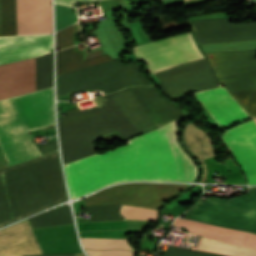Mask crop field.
I'll use <instances>...</instances> for the list:
<instances>
[{
    "instance_id": "8a807250",
    "label": "crop field",
    "mask_w": 256,
    "mask_h": 256,
    "mask_svg": "<svg viewBox=\"0 0 256 256\" xmlns=\"http://www.w3.org/2000/svg\"><path fill=\"white\" fill-rule=\"evenodd\" d=\"M71 199L126 181L193 182L196 167L176 143L175 120L110 151L65 165Z\"/></svg>"
},
{
    "instance_id": "ac0d7876",
    "label": "crop field",
    "mask_w": 256,
    "mask_h": 256,
    "mask_svg": "<svg viewBox=\"0 0 256 256\" xmlns=\"http://www.w3.org/2000/svg\"><path fill=\"white\" fill-rule=\"evenodd\" d=\"M157 126L183 116L173 104L163 100L152 87L129 88ZM129 89L110 94L139 132L155 126ZM110 95L92 98L97 108L66 112L58 119L61 152L64 163L95 154L92 140L112 131L124 139L138 133Z\"/></svg>"
},
{
    "instance_id": "34b2d1b8",
    "label": "crop field",
    "mask_w": 256,
    "mask_h": 256,
    "mask_svg": "<svg viewBox=\"0 0 256 256\" xmlns=\"http://www.w3.org/2000/svg\"><path fill=\"white\" fill-rule=\"evenodd\" d=\"M66 199L58 152L0 171V227Z\"/></svg>"
},
{
    "instance_id": "412701ff",
    "label": "crop field",
    "mask_w": 256,
    "mask_h": 256,
    "mask_svg": "<svg viewBox=\"0 0 256 256\" xmlns=\"http://www.w3.org/2000/svg\"><path fill=\"white\" fill-rule=\"evenodd\" d=\"M133 49L138 58L148 63L153 74L187 61L203 58L190 32L133 47ZM154 75L161 81L158 84L161 89L171 97L221 86L205 58L184 63Z\"/></svg>"
},
{
    "instance_id": "f4fd0767",
    "label": "crop field",
    "mask_w": 256,
    "mask_h": 256,
    "mask_svg": "<svg viewBox=\"0 0 256 256\" xmlns=\"http://www.w3.org/2000/svg\"><path fill=\"white\" fill-rule=\"evenodd\" d=\"M53 124L52 88L1 100L0 143L10 164L40 156L28 131ZM1 145L0 168H3L10 164Z\"/></svg>"
},
{
    "instance_id": "dd49c442",
    "label": "crop field",
    "mask_w": 256,
    "mask_h": 256,
    "mask_svg": "<svg viewBox=\"0 0 256 256\" xmlns=\"http://www.w3.org/2000/svg\"><path fill=\"white\" fill-rule=\"evenodd\" d=\"M52 51V35L0 38V64ZM52 86V53L36 57V90ZM35 90V57L1 65V99Z\"/></svg>"
},
{
    "instance_id": "e52e79f7",
    "label": "crop field",
    "mask_w": 256,
    "mask_h": 256,
    "mask_svg": "<svg viewBox=\"0 0 256 256\" xmlns=\"http://www.w3.org/2000/svg\"><path fill=\"white\" fill-rule=\"evenodd\" d=\"M137 64L124 66L119 58L82 70L57 76V97L77 91L105 94L133 85H151L138 72Z\"/></svg>"
},
{
    "instance_id": "d8731c3e",
    "label": "crop field",
    "mask_w": 256,
    "mask_h": 256,
    "mask_svg": "<svg viewBox=\"0 0 256 256\" xmlns=\"http://www.w3.org/2000/svg\"><path fill=\"white\" fill-rule=\"evenodd\" d=\"M216 78L256 117V50L205 54Z\"/></svg>"
},
{
    "instance_id": "5a996713",
    "label": "crop field",
    "mask_w": 256,
    "mask_h": 256,
    "mask_svg": "<svg viewBox=\"0 0 256 256\" xmlns=\"http://www.w3.org/2000/svg\"><path fill=\"white\" fill-rule=\"evenodd\" d=\"M186 219L256 233V187L231 200L199 201L189 210Z\"/></svg>"
},
{
    "instance_id": "3316defc",
    "label": "crop field",
    "mask_w": 256,
    "mask_h": 256,
    "mask_svg": "<svg viewBox=\"0 0 256 256\" xmlns=\"http://www.w3.org/2000/svg\"><path fill=\"white\" fill-rule=\"evenodd\" d=\"M16 35L52 33L51 0H15ZM14 0H0V36L15 35Z\"/></svg>"
},
{
    "instance_id": "28ad6ade",
    "label": "crop field",
    "mask_w": 256,
    "mask_h": 256,
    "mask_svg": "<svg viewBox=\"0 0 256 256\" xmlns=\"http://www.w3.org/2000/svg\"><path fill=\"white\" fill-rule=\"evenodd\" d=\"M175 222L173 225L183 227L187 232L256 249V234L185 219L177 218ZM195 250L227 256H256V250L205 237L200 238Z\"/></svg>"
},
{
    "instance_id": "d1516ede",
    "label": "crop field",
    "mask_w": 256,
    "mask_h": 256,
    "mask_svg": "<svg viewBox=\"0 0 256 256\" xmlns=\"http://www.w3.org/2000/svg\"><path fill=\"white\" fill-rule=\"evenodd\" d=\"M188 185L125 184L113 186L86 199L84 205L126 204L156 209L163 201Z\"/></svg>"
},
{
    "instance_id": "22f410ed",
    "label": "crop field",
    "mask_w": 256,
    "mask_h": 256,
    "mask_svg": "<svg viewBox=\"0 0 256 256\" xmlns=\"http://www.w3.org/2000/svg\"><path fill=\"white\" fill-rule=\"evenodd\" d=\"M223 142L240 165L249 184H256V124L253 120L237 125L222 136Z\"/></svg>"
},
{
    "instance_id": "cbeb9de0",
    "label": "crop field",
    "mask_w": 256,
    "mask_h": 256,
    "mask_svg": "<svg viewBox=\"0 0 256 256\" xmlns=\"http://www.w3.org/2000/svg\"><path fill=\"white\" fill-rule=\"evenodd\" d=\"M195 95L222 129L252 119L224 87Z\"/></svg>"
},
{
    "instance_id": "5142ce71",
    "label": "crop field",
    "mask_w": 256,
    "mask_h": 256,
    "mask_svg": "<svg viewBox=\"0 0 256 256\" xmlns=\"http://www.w3.org/2000/svg\"><path fill=\"white\" fill-rule=\"evenodd\" d=\"M44 254L27 219L0 230V256Z\"/></svg>"
},
{
    "instance_id": "d9b57169",
    "label": "crop field",
    "mask_w": 256,
    "mask_h": 256,
    "mask_svg": "<svg viewBox=\"0 0 256 256\" xmlns=\"http://www.w3.org/2000/svg\"><path fill=\"white\" fill-rule=\"evenodd\" d=\"M183 143L201 161L205 178L206 166L203 159L215 155L209 136L190 122L184 127ZM204 178H202V182H204Z\"/></svg>"
},
{
    "instance_id": "733c2abd",
    "label": "crop field",
    "mask_w": 256,
    "mask_h": 256,
    "mask_svg": "<svg viewBox=\"0 0 256 256\" xmlns=\"http://www.w3.org/2000/svg\"><path fill=\"white\" fill-rule=\"evenodd\" d=\"M74 49L75 46L56 52V76L112 59L105 55L82 61L83 53H74Z\"/></svg>"
},
{
    "instance_id": "4a817a6b",
    "label": "crop field",
    "mask_w": 256,
    "mask_h": 256,
    "mask_svg": "<svg viewBox=\"0 0 256 256\" xmlns=\"http://www.w3.org/2000/svg\"><path fill=\"white\" fill-rule=\"evenodd\" d=\"M32 229L73 223L70 208L63 205L28 218Z\"/></svg>"
},
{
    "instance_id": "bc2a9ffb",
    "label": "crop field",
    "mask_w": 256,
    "mask_h": 256,
    "mask_svg": "<svg viewBox=\"0 0 256 256\" xmlns=\"http://www.w3.org/2000/svg\"><path fill=\"white\" fill-rule=\"evenodd\" d=\"M121 205L85 206V212L91 213V222L127 220L119 212Z\"/></svg>"
},
{
    "instance_id": "214f88e0",
    "label": "crop field",
    "mask_w": 256,
    "mask_h": 256,
    "mask_svg": "<svg viewBox=\"0 0 256 256\" xmlns=\"http://www.w3.org/2000/svg\"><path fill=\"white\" fill-rule=\"evenodd\" d=\"M84 248L111 249L131 247L126 243V239H103V238H80ZM132 250V249H131Z\"/></svg>"
},
{
    "instance_id": "92a150f3",
    "label": "crop field",
    "mask_w": 256,
    "mask_h": 256,
    "mask_svg": "<svg viewBox=\"0 0 256 256\" xmlns=\"http://www.w3.org/2000/svg\"><path fill=\"white\" fill-rule=\"evenodd\" d=\"M121 213L127 219L155 220L158 211L145 208H136L123 205Z\"/></svg>"
},
{
    "instance_id": "dafd665d",
    "label": "crop field",
    "mask_w": 256,
    "mask_h": 256,
    "mask_svg": "<svg viewBox=\"0 0 256 256\" xmlns=\"http://www.w3.org/2000/svg\"><path fill=\"white\" fill-rule=\"evenodd\" d=\"M56 31L75 23L69 7L55 4Z\"/></svg>"
},
{
    "instance_id": "00972430",
    "label": "crop field",
    "mask_w": 256,
    "mask_h": 256,
    "mask_svg": "<svg viewBox=\"0 0 256 256\" xmlns=\"http://www.w3.org/2000/svg\"><path fill=\"white\" fill-rule=\"evenodd\" d=\"M73 45L72 26L56 33V50Z\"/></svg>"
},
{
    "instance_id": "a9b5d70f",
    "label": "crop field",
    "mask_w": 256,
    "mask_h": 256,
    "mask_svg": "<svg viewBox=\"0 0 256 256\" xmlns=\"http://www.w3.org/2000/svg\"><path fill=\"white\" fill-rule=\"evenodd\" d=\"M165 256H222V255L191 251V250L169 246Z\"/></svg>"
},
{
    "instance_id": "4177f3b9",
    "label": "crop field",
    "mask_w": 256,
    "mask_h": 256,
    "mask_svg": "<svg viewBox=\"0 0 256 256\" xmlns=\"http://www.w3.org/2000/svg\"><path fill=\"white\" fill-rule=\"evenodd\" d=\"M89 256H133L134 252L126 250H85Z\"/></svg>"
},
{
    "instance_id": "730fd06b",
    "label": "crop field",
    "mask_w": 256,
    "mask_h": 256,
    "mask_svg": "<svg viewBox=\"0 0 256 256\" xmlns=\"http://www.w3.org/2000/svg\"><path fill=\"white\" fill-rule=\"evenodd\" d=\"M41 155L57 150L56 140L41 146H37Z\"/></svg>"
},
{
    "instance_id": "eef30255",
    "label": "crop field",
    "mask_w": 256,
    "mask_h": 256,
    "mask_svg": "<svg viewBox=\"0 0 256 256\" xmlns=\"http://www.w3.org/2000/svg\"><path fill=\"white\" fill-rule=\"evenodd\" d=\"M56 2L63 3L66 5H71V0H55ZM77 0H72V4ZM82 1H94V0H82Z\"/></svg>"
},
{
    "instance_id": "ae1a2a85",
    "label": "crop field",
    "mask_w": 256,
    "mask_h": 256,
    "mask_svg": "<svg viewBox=\"0 0 256 256\" xmlns=\"http://www.w3.org/2000/svg\"><path fill=\"white\" fill-rule=\"evenodd\" d=\"M35 256H74V254H61V255H35Z\"/></svg>"
},
{
    "instance_id": "d3111659",
    "label": "crop field",
    "mask_w": 256,
    "mask_h": 256,
    "mask_svg": "<svg viewBox=\"0 0 256 256\" xmlns=\"http://www.w3.org/2000/svg\"><path fill=\"white\" fill-rule=\"evenodd\" d=\"M255 122H256V118H254Z\"/></svg>"
},
{
    "instance_id": "750c4746",
    "label": "crop field",
    "mask_w": 256,
    "mask_h": 256,
    "mask_svg": "<svg viewBox=\"0 0 256 256\" xmlns=\"http://www.w3.org/2000/svg\"><path fill=\"white\" fill-rule=\"evenodd\" d=\"M184 1H186V0H184Z\"/></svg>"
}]
</instances>
